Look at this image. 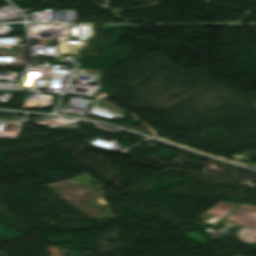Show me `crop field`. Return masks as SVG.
Returning <instances> with one entry per match:
<instances>
[{
	"instance_id": "ac0d7876",
	"label": "crop field",
	"mask_w": 256,
	"mask_h": 256,
	"mask_svg": "<svg viewBox=\"0 0 256 256\" xmlns=\"http://www.w3.org/2000/svg\"><path fill=\"white\" fill-rule=\"evenodd\" d=\"M236 204L219 202L210 210L206 211L201 215V218L205 221L204 223L212 224L219 218L224 216L226 213L231 211Z\"/></svg>"
},
{
	"instance_id": "8a807250",
	"label": "crop field",
	"mask_w": 256,
	"mask_h": 256,
	"mask_svg": "<svg viewBox=\"0 0 256 256\" xmlns=\"http://www.w3.org/2000/svg\"><path fill=\"white\" fill-rule=\"evenodd\" d=\"M226 219L243 226L237 232L239 233L237 237L240 241H256V207L241 205L237 211ZM252 229L254 230L251 231Z\"/></svg>"
}]
</instances>
